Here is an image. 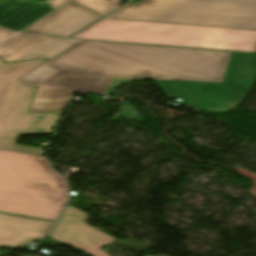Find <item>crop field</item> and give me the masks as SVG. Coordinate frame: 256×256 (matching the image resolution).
Masks as SVG:
<instances>
[{
	"label": "crop field",
	"mask_w": 256,
	"mask_h": 256,
	"mask_svg": "<svg viewBox=\"0 0 256 256\" xmlns=\"http://www.w3.org/2000/svg\"><path fill=\"white\" fill-rule=\"evenodd\" d=\"M72 38L256 52V30L102 19Z\"/></svg>",
	"instance_id": "3"
},
{
	"label": "crop field",
	"mask_w": 256,
	"mask_h": 256,
	"mask_svg": "<svg viewBox=\"0 0 256 256\" xmlns=\"http://www.w3.org/2000/svg\"><path fill=\"white\" fill-rule=\"evenodd\" d=\"M51 10L47 2L41 5L27 0L0 1V25L19 31Z\"/></svg>",
	"instance_id": "11"
},
{
	"label": "crop field",
	"mask_w": 256,
	"mask_h": 256,
	"mask_svg": "<svg viewBox=\"0 0 256 256\" xmlns=\"http://www.w3.org/2000/svg\"><path fill=\"white\" fill-rule=\"evenodd\" d=\"M92 11L101 15H106L115 8L119 7L121 0H72Z\"/></svg>",
	"instance_id": "16"
},
{
	"label": "crop field",
	"mask_w": 256,
	"mask_h": 256,
	"mask_svg": "<svg viewBox=\"0 0 256 256\" xmlns=\"http://www.w3.org/2000/svg\"><path fill=\"white\" fill-rule=\"evenodd\" d=\"M62 69L63 68L45 63L19 80L29 86H39L40 83L47 80Z\"/></svg>",
	"instance_id": "15"
},
{
	"label": "crop field",
	"mask_w": 256,
	"mask_h": 256,
	"mask_svg": "<svg viewBox=\"0 0 256 256\" xmlns=\"http://www.w3.org/2000/svg\"><path fill=\"white\" fill-rule=\"evenodd\" d=\"M256 54L232 53L221 82L254 84Z\"/></svg>",
	"instance_id": "12"
},
{
	"label": "crop field",
	"mask_w": 256,
	"mask_h": 256,
	"mask_svg": "<svg viewBox=\"0 0 256 256\" xmlns=\"http://www.w3.org/2000/svg\"><path fill=\"white\" fill-rule=\"evenodd\" d=\"M66 1H68V0H49V1H47L50 5H51V7L54 9L55 7H57V6H59V5H61V4H63L64 2H66ZM56 9V8H55Z\"/></svg>",
	"instance_id": "19"
},
{
	"label": "crop field",
	"mask_w": 256,
	"mask_h": 256,
	"mask_svg": "<svg viewBox=\"0 0 256 256\" xmlns=\"http://www.w3.org/2000/svg\"><path fill=\"white\" fill-rule=\"evenodd\" d=\"M100 17L70 1L22 32L68 37Z\"/></svg>",
	"instance_id": "9"
},
{
	"label": "crop field",
	"mask_w": 256,
	"mask_h": 256,
	"mask_svg": "<svg viewBox=\"0 0 256 256\" xmlns=\"http://www.w3.org/2000/svg\"><path fill=\"white\" fill-rule=\"evenodd\" d=\"M49 221L0 214V248L19 247L32 242L50 231Z\"/></svg>",
	"instance_id": "10"
},
{
	"label": "crop field",
	"mask_w": 256,
	"mask_h": 256,
	"mask_svg": "<svg viewBox=\"0 0 256 256\" xmlns=\"http://www.w3.org/2000/svg\"><path fill=\"white\" fill-rule=\"evenodd\" d=\"M119 117L143 123V121L139 118V114L131 103H121L120 112L116 113L112 120H118Z\"/></svg>",
	"instance_id": "17"
},
{
	"label": "crop field",
	"mask_w": 256,
	"mask_h": 256,
	"mask_svg": "<svg viewBox=\"0 0 256 256\" xmlns=\"http://www.w3.org/2000/svg\"><path fill=\"white\" fill-rule=\"evenodd\" d=\"M77 41L78 40L51 38L22 55L15 61L32 58H53L57 54L72 46Z\"/></svg>",
	"instance_id": "14"
},
{
	"label": "crop field",
	"mask_w": 256,
	"mask_h": 256,
	"mask_svg": "<svg viewBox=\"0 0 256 256\" xmlns=\"http://www.w3.org/2000/svg\"><path fill=\"white\" fill-rule=\"evenodd\" d=\"M53 222V221H52Z\"/></svg>",
	"instance_id": "20"
},
{
	"label": "crop field",
	"mask_w": 256,
	"mask_h": 256,
	"mask_svg": "<svg viewBox=\"0 0 256 256\" xmlns=\"http://www.w3.org/2000/svg\"><path fill=\"white\" fill-rule=\"evenodd\" d=\"M48 60L4 63L0 58V149L44 156L45 149L15 144L18 134L50 133L62 112H28L38 87L18 79Z\"/></svg>",
	"instance_id": "5"
},
{
	"label": "crop field",
	"mask_w": 256,
	"mask_h": 256,
	"mask_svg": "<svg viewBox=\"0 0 256 256\" xmlns=\"http://www.w3.org/2000/svg\"><path fill=\"white\" fill-rule=\"evenodd\" d=\"M106 18L256 29V0H141Z\"/></svg>",
	"instance_id": "4"
},
{
	"label": "crop field",
	"mask_w": 256,
	"mask_h": 256,
	"mask_svg": "<svg viewBox=\"0 0 256 256\" xmlns=\"http://www.w3.org/2000/svg\"><path fill=\"white\" fill-rule=\"evenodd\" d=\"M153 81L170 99L182 97L187 104L195 106L196 112L228 111L240 105L253 87L246 84Z\"/></svg>",
	"instance_id": "6"
},
{
	"label": "crop field",
	"mask_w": 256,
	"mask_h": 256,
	"mask_svg": "<svg viewBox=\"0 0 256 256\" xmlns=\"http://www.w3.org/2000/svg\"><path fill=\"white\" fill-rule=\"evenodd\" d=\"M50 37L18 33L8 41L0 44V56L5 61H13Z\"/></svg>",
	"instance_id": "13"
},
{
	"label": "crop field",
	"mask_w": 256,
	"mask_h": 256,
	"mask_svg": "<svg viewBox=\"0 0 256 256\" xmlns=\"http://www.w3.org/2000/svg\"><path fill=\"white\" fill-rule=\"evenodd\" d=\"M230 54L81 41L47 63L88 76L220 82Z\"/></svg>",
	"instance_id": "1"
},
{
	"label": "crop field",
	"mask_w": 256,
	"mask_h": 256,
	"mask_svg": "<svg viewBox=\"0 0 256 256\" xmlns=\"http://www.w3.org/2000/svg\"><path fill=\"white\" fill-rule=\"evenodd\" d=\"M55 173L44 157L0 150V212L56 220L68 189Z\"/></svg>",
	"instance_id": "2"
},
{
	"label": "crop field",
	"mask_w": 256,
	"mask_h": 256,
	"mask_svg": "<svg viewBox=\"0 0 256 256\" xmlns=\"http://www.w3.org/2000/svg\"><path fill=\"white\" fill-rule=\"evenodd\" d=\"M87 214L68 205L49 237L80 248L92 256H110L99 248L117 239L85 224Z\"/></svg>",
	"instance_id": "7"
},
{
	"label": "crop field",
	"mask_w": 256,
	"mask_h": 256,
	"mask_svg": "<svg viewBox=\"0 0 256 256\" xmlns=\"http://www.w3.org/2000/svg\"><path fill=\"white\" fill-rule=\"evenodd\" d=\"M14 31L11 30H7V29H3L0 28V42H2L3 40H5L6 38L10 37L11 35H13Z\"/></svg>",
	"instance_id": "18"
},
{
	"label": "crop field",
	"mask_w": 256,
	"mask_h": 256,
	"mask_svg": "<svg viewBox=\"0 0 256 256\" xmlns=\"http://www.w3.org/2000/svg\"><path fill=\"white\" fill-rule=\"evenodd\" d=\"M134 79L88 77L69 70H62L40 84L35 96H72L74 93L97 92L112 94L122 83Z\"/></svg>",
	"instance_id": "8"
}]
</instances>
